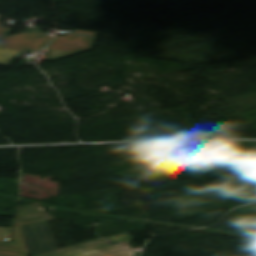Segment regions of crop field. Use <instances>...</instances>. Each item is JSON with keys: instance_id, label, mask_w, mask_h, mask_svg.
I'll return each instance as SVG.
<instances>
[{"instance_id": "crop-field-7", "label": "crop field", "mask_w": 256, "mask_h": 256, "mask_svg": "<svg viewBox=\"0 0 256 256\" xmlns=\"http://www.w3.org/2000/svg\"><path fill=\"white\" fill-rule=\"evenodd\" d=\"M70 35H72V36H88V37H95L96 33L74 31V32H72Z\"/></svg>"}, {"instance_id": "crop-field-1", "label": "crop field", "mask_w": 256, "mask_h": 256, "mask_svg": "<svg viewBox=\"0 0 256 256\" xmlns=\"http://www.w3.org/2000/svg\"><path fill=\"white\" fill-rule=\"evenodd\" d=\"M129 234L82 244L38 256H135Z\"/></svg>"}, {"instance_id": "crop-field-3", "label": "crop field", "mask_w": 256, "mask_h": 256, "mask_svg": "<svg viewBox=\"0 0 256 256\" xmlns=\"http://www.w3.org/2000/svg\"><path fill=\"white\" fill-rule=\"evenodd\" d=\"M50 39L40 29L27 27L23 33L1 38L0 47L34 52L44 48Z\"/></svg>"}, {"instance_id": "crop-field-2", "label": "crop field", "mask_w": 256, "mask_h": 256, "mask_svg": "<svg viewBox=\"0 0 256 256\" xmlns=\"http://www.w3.org/2000/svg\"><path fill=\"white\" fill-rule=\"evenodd\" d=\"M38 204L21 206L18 209L10 244L0 243V256H28L22 226L55 220L39 209Z\"/></svg>"}, {"instance_id": "crop-field-4", "label": "crop field", "mask_w": 256, "mask_h": 256, "mask_svg": "<svg viewBox=\"0 0 256 256\" xmlns=\"http://www.w3.org/2000/svg\"><path fill=\"white\" fill-rule=\"evenodd\" d=\"M31 256L58 250L47 222L23 227Z\"/></svg>"}, {"instance_id": "crop-field-6", "label": "crop field", "mask_w": 256, "mask_h": 256, "mask_svg": "<svg viewBox=\"0 0 256 256\" xmlns=\"http://www.w3.org/2000/svg\"><path fill=\"white\" fill-rule=\"evenodd\" d=\"M11 31L9 28L0 27V38L6 36ZM17 53L18 51L16 50L0 48V65L8 66Z\"/></svg>"}, {"instance_id": "crop-field-5", "label": "crop field", "mask_w": 256, "mask_h": 256, "mask_svg": "<svg viewBox=\"0 0 256 256\" xmlns=\"http://www.w3.org/2000/svg\"><path fill=\"white\" fill-rule=\"evenodd\" d=\"M95 38L55 36L48 46V62L68 55L92 49Z\"/></svg>"}]
</instances>
